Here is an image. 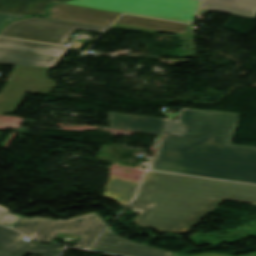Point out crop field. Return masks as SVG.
I'll list each match as a JSON object with an SVG mask.
<instances>
[{
  "label": "crop field",
  "instance_id": "obj_16",
  "mask_svg": "<svg viewBox=\"0 0 256 256\" xmlns=\"http://www.w3.org/2000/svg\"><path fill=\"white\" fill-rule=\"evenodd\" d=\"M129 206L140 214L144 211H150L155 205L146 202L133 201Z\"/></svg>",
  "mask_w": 256,
  "mask_h": 256
},
{
  "label": "crop field",
  "instance_id": "obj_18",
  "mask_svg": "<svg viewBox=\"0 0 256 256\" xmlns=\"http://www.w3.org/2000/svg\"><path fill=\"white\" fill-rule=\"evenodd\" d=\"M195 256H231L225 254H202V255H195ZM242 256H253V253L242 255Z\"/></svg>",
  "mask_w": 256,
  "mask_h": 256
},
{
  "label": "crop field",
  "instance_id": "obj_17",
  "mask_svg": "<svg viewBox=\"0 0 256 256\" xmlns=\"http://www.w3.org/2000/svg\"><path fill=\"white\" fill-rule=\"evenodd\" d=\"M22 17H26V16H20V15H14V14L0 12V28L2 26H4L7 22H9L11 19L22 18Z\"/></svg>",
  "mask_w": 256,
  "mask_h": 256
},
{
  "label": "crop field",
  "instance_id": "obj_9",
  "mask_svg": "<svg viewBox=\"0 0 256 256\" xmlns=\"http://www.w3.org/2000/svg\"><path fill=\"white\" fill-rule=\"evenodd\" d=\"M23 235L12 229L0 227V256H26L35 254L39 256H58L63 248L40 245L34 242H27Z\"/></svg>",
  "mask_w": 256,
  "mask_h": 256
},
{
  "label": "crop field",
  "instance_id": "obj_7",
  "mask_svg": "<svg viewBox=\"0 0 256 256\" xmlns=\"http://www.w3.org/2000/svg\"><path fill=\"white\" fill-rule=\"evenodd\" d=\"M67 48L0 38V63L53 67Z\"/></svg>",
  "mask_w": 256,
  "mask_h": 256
},
{
  "label": "crop field",
  "instance_id": "obj_11",
  "mask_svg": "<svg viewBox=\"0 0 256 256\" xmlns=\"http://www.w3.org/2000/svg\"><path fill=\"white\" fill-rule=\"evenodd\" d=\"M189 26L124 15L112 27L151 33L168 32L177 36L195 39L197 36L190 32Z\"/></svg>",
  "mask_w": 256,
  "mask_h": 256
},
{
  "label": "crop field",
  "instance_id": "obj_13",
  "mask_svg": "<svg viewBox=\"0 0 256 256\" xmlns=\"http://www.w3.org/2000/svg\"><path fill=\"white\" fill-rule=\"evenodd\" d=\"M138 184V182L111 175L102 197L125 207L134 196Z\"/></svg>",
  "mask_w": 256,
  "mask_h": 256
},
{
  "label": "crop field",
  "instance_id": "obj_3",
  "mask_svg": "<svg viewBox=\"0 0 256 256\" xmlns=\"http://www.w3.org/2000/svg\"><path fill=\"white\" fill-rule=\"evenodd\" d=\"M106 226L97 213H89L68 220L20 217L13 228L47 242H52L59 232L82 236L73 247L83 248L88 247Z\"/></svg>",
  "mask_w": 256,
  "mask_h": 256
},
{
  "label": "crop field",
  "instance_id": "obj_14",
  "mask_svg": "<svg viewBox=\"0 0 256 256\" xmlns=\"http://www.w3.org/2000/svg\"><path fill=\"white\" fill-rule=\"evenodd\" d=\"M52 1L62 0H0V11L20 15H44L45 8Z\"/></svg>",
  "mask_w": 256,
  "mask_h": 256
},
{
  "label": "crop field",
  "instance_id": "obj_19",
  "mask_svg": "<svg viewBox=\"0 0 256 256\" xmlns=\"http://www.w3.org/2000/svg\"><path fill=\"white\" fill-rule=\"evenodd\" d=\"M254 256H256V253H254Z\"/></svg>",
  "mask_w": 256,
  "mask_h": 256
},
{
  "label": "crop field",
  "instance_id": "obj_5",
  "mask_svg": "<svg viewBox=\"0 0 256 256\" xmlns=\"http://www.w3.org/2000/svg\"><path fill=\"white\" fill-rule=\"evenodd\" d=\"M76 28L103 32L107 27L34 17L10 23L0 36L61 45Z\"/></svg>",
  "mask_w": 256,
  "mask_h": 256
},
{
  "label": "crop field",
  "instance_id": "obj_1",
  "mask_svg": "<svg viewBox=\"0 0 256 256\" xmlns=\"http://www.w3.org/2000/svg\"><path fill=\"white\" fill-rule=\"evenodd\" d=\"M239 117L181 109L177 121L109 113V124L162 134L148 169L256 184V147L230 144Z\"/></svg>",
  "mask_w": 256,
  "mask_h": 256
},
{
  "label": "crop field",
  "instance_id": "obj_10",
  "mask_svg": "<svg viewBox=\"0 0 256 256\" xmlns=\"http://www.w3.org/2000/svg\"><path fill=\"white\" fill-rule=\"evenodd\" d=\"M119 16L116 13L59 4L49 6L45 18L109 26Z\"/></svg>",
  "mask_w": 256,
  "mask_h": 256
},
{
  "label": "crop field",
  "instance_id": "obj_12",
  "mask_svg": "<svg viewBox=\"0 0 256 256\" xmlns=\"http://www.w3.org/2000/svg\"><path fill=\"white\" fill-rule=\"evenodd\" d=\"M201 9L253 18L256 0H204Z\"/></svg>",
  "mask_w": 256,
  "mask_h": 256
},
{
  "label": "crop field",
  "instance_id": "obj_2",
  "mask_svg": "<svg viewBox=\"0 0 256 256\" xmlns=\"http://www.w3.org/2000/svg\"><path fill=\"white\" fill-rule=\"evenodd\" d=\"M135 200L157 204L138 225L184 234L223 200L256 204V186L148 172Z\"/></svg>",
  "mask_w": 256,
  "mask_h": 256
},
{
  "label": "crop field",
  "instance_id": "obj_4",
  "mask_svg": "<svg viewBox=\"0 0 256 256\" xmlns=\"http://www.w3.org/2000/svg\"><path fill=\"white\" fill-rule=\"evenodd\" d=\"M200 2L198 0H74L64 4L187 22L193 21Z\"/></svg>",
  "mask_w": 256,
  "mask_h": 256
},
{
  "label": "crop field",
  "instance_id": "obj_15",
  "mask_svg": "<svg viewBox=\"0 0 256 256\" xmlns=\"http://www.w3.org/2000/svg\"><path fill=\"white\" fill-rule=\"evenodd\" d=\"M8 211L6 207L0 206V224L12 227L18 220L17 215H3L4 212Z\"/></svg>",
  "mask_w": 256,
  "mask_h": 256
},
{
  "label": "crop field",
  "instance_id": "obj_8",
  "mask_svg": "<svg viewBox=\"0 0 256 256\" xmlns=\"http://www.w3.org/2000/svg\"><path fill=\"white\" fill-rule=\"evenodd\" d=\"M91 250L102 251L123 256H171V252L138 244L117 236L114 231H107L90 248Z\"/></svg>",
  "mask_w": 256,
  "mask_h": 256
},
{
  "label": "crop field",
  "instance_id": "obj_6",
  "mask_svg": "<svg viewBox=\"0 0 256 256\" xmlns=\"http://www.w3.org/2000/svg\"><path fill=\"white\" fill-rule=\"evenodd\" d=\"M48 68L15 66L0 94V114L16 111L27 93L48 94L56 84L46 76Z\"/></svg>",
  "mask_w": 256,
  "mask_h": 256
}]
</instances>
